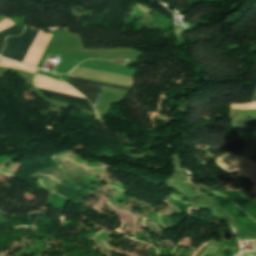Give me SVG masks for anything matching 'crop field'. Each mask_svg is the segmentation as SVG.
<instances>
[{"mask_svg":"<svg viewBox=\"0 0 256 256\" xmlns=\"http://www.w3.org/2000/svg\"><path fill=\"white\" fill-rule=\"evenodd\" d=\"M68 78H69L70 85L76 88L77 90H79L84 96H86L90 100L94 108H96L98 104L102 86L130 90L129 88H125L117 85L94 82V81H89V80L69 77V76Z\"/></svg>","mask_w":256,"mask_h":256,"instance_id":"ac0d7876","label":"crop field"},{"mask_svg":"<svg viewBox=\"0 0 256 256\" xmlns=\"http://www.w3.org/2000/svg\"><path fill=\"white\" fill-rule=\"evenodd\" d=\"M237 123L241 132L256 131V120H241Z\"/></svg>","mask_w":256,"mask_h":256,"instance_id":"f4fd0767","label":"crop field"},{"mask_svg":"<svg viewBox=\"0 0 256 256\" xmlns=\"http://www.w3.org/2000/svg\"><path fill=\"white\" fill-rule=\"evenodd\" d=\"M37 34L38 31H31L25 27L24 33L21 36L7 38L1 55L22 62Z\"/></svg>","mask_w":256,"mask_h":256,"instance_id":"8a807250","label":"crop field"},{"mask_svg":"<svg viewBox=\"0 0 256 256\" xmlns=\"http://www.w3.org/2000/svg\"><path fill=\"white\" fill-rule=\"evenodd\" d=\"M39 90L45 97H47L49 99L68 102L71 104H75V106H77V107L94 111V109L91 107V105L89 104V102L87 100L76 98V97H71V96H67V95H63V94H59V93H55V92H51V91H47V90H43V89H39Z\"/></svg>","mask_w":256,"mask_h":256,"instance_id":"34b2d1b8","label":"crop field"},{"mask_svg":"<svg viewBox=\"0 0 256 256\" xmlns=\"http://www.w3.org/2000/svg\"><path fill=\"white\" fill-rule=\"evenodd\" d=\"M255 101H256V97H255Z\"/></svg>","mask_w":256,"mask_h":256,"instance_id":"dd49c442","label":"crop field"},{"mask_svg":"<svg viewBox=\"0 0 256 256\" xmlns=\"http://www.w3.org/2000/svg\"><path fill=\"white\" fill-rule=\"evenodd\" d=\"M23 28L18 27L17 25H14L4 31L0 32V53L3 49L4 40L6 36H17L21 34Z\"/></svg>","mask_w":256,"mask_h":256,"instance_id":"412701ff","label":"crop field"},{"mask_svg":"<svg viewBox=\"0 0 256 256\" xmlns=\"http://www.w3.org/2000/svg\"><path fill=\"white\" fill-rule=\"evenodd\" d=\"M255 160H256V157H255Z\"/></svg>","mask_w":256,"mask_h":256,"instance_id":"e52e79f7","label":"crop field"}]
</instances>
